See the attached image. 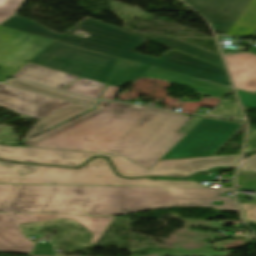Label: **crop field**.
Wrapping results in <instances>:
<instances>
[{
    "label": "crop field",
    "instance_id": "1",
    "mask_svg": "<svg viewBox=\"0 0 256 256\" xmlns=\"http://www.w3.org/2000/svg\"><path fill=\"white\" fill-rule=\"evenodd\" d=\"M232 188L0 185V211L117 215L170 206L238 210ZM218 203V204H217Z\"/></svg>",
    "mask_w": 256,
    "mask_h": 256
},
{
    "label": "crop field",
    "instance_id": "2",
    "mask_svg": "<svg viewBox=\"0 0 256 256\" xmlns=\"http://www.w3.org/2000/svg\"><path fill=\"white\" fill-rule=\"evenodd\" d=\"M111 102L101 111L30 146L120 154L152 167L186 134L191 118L174 112Z\"/></svg>",
    "mask_w": 256,
    "mask_h": 256
},
{
    "label": "crop field",
    "instance_id": "3",
    "mask_svg": "<svg viewBox=\"0 0 256 256\" xmlns=\"http://www.w3.org/2000/svg\"><path fill=\"white\" fill-rule=\"evenodd\" d=\"M1 27L52 39L58 42L102 52L115 57H121L157 68L193 76L217 84L231 87L224 69L188 56L173 49L160 58H152L133 52L148 40L134 36L90 17H86L67 33L58 34L32 20L14 15ZM88 34L83 38L71 35L76 30Z\"/></svg>",
    "mask_w": 256,
    "mask_h": 256
},
{
    "label": "crop field",
    "instance_id": "4",
    "mask_svg": "<svg viewBox=\"0 0 256 256\" xmlns=\"http://www.w3.org/2000/svg\"><path fill=\"white\" fill-rule=\"evenodd\" d=\"M93 155L108 157L114 164L118 174L124 177L141 176H179L185 177L197 171H206L215 167L235 168L240 155L204 157L180 160L159 161L149 170L119 155L98 153L71 152L1 146L0 158L41 164L66 165L77 167Z\"/></svg>",
    "mask_w": 256,
    "mask_h": 256
},
{
    "label": "crop field",
    "instance_id": "5",
    "mask_svg": "<svg viewBox=\"0 0 256 256\" xmlns=\"http://www.w3.org/2000/svg\"><path fill=\"white\" fill-rule=\"evenodd\" d=\"M0 183L201 186L197 182L124 179L113 172L105 158H95L80 169L15 164L0 160Z\"/></svg>",
    "mask_w": 256,
    "mask_h": 256
},
{
    "label": "crop field",
    "instance_id": "6",
    "mask_svg": "<svg viewBox=\"0 0 256 256\" xmlns=\"http://www.w3.org/2000/svg\"><path fill=\"white\" fill-rule=\"evenodd\" d=\"M117 59L98 52L52 42L29 63L107 83Z\"/></svg>",
    "mask_w": 256,
    "mask_h": 256
},
{
    "label": "crop field",
    "instance_id": "7",
    "mask_svg": "<svg viewBox=\"0 0 256 256\" xmlns=\"http://www.w3.org/2000/svg\"><path fill=\"white\" fill-rule=\"evenodd\" d=\"M243 126L242 124L203 118L160 160L212 156Z\"/></svg>",
    "mask_w": 256,
    "mask_h": 256
},
{
    "label": "crop field",
    "instance_id": "8",
    "mask_svg": "<svg viewBox=\"0 0 256 256\" xmlns=\"http://www.w3.org/2000/svg\"><path fill=\"white\" fill-rule=\"evenodd\" d=\"M51 41L0 28V82L12 76Z\"/></svg>",
    "mask_w": 256,
    "mask_h": 256
},
{
    "label": "crop field",
    "instance_id": "9",
    "mask_svg": "<svg viewBox=\"0 0 256 256\" xmlns=\"http://www.w3.org/2000/svg\"><path fill=\"white\" fill-rule=\"evenodd\" d=\"M71 104L73 102L6 84L0 85V106L34 118L41 119Z\"/></svg>",
    "mask_w": 256,
    "mask_h": 256
},
{
    "label": "crop field",
    "instance_id": "10",
    "mask_svg": "<svg viewBox=\"0 0 256 256\" xmlns=\"http://www.w3.org/2000/svg\"><path fill=\"white\" fill-rule=\"evenodd\" d=\"M204 16L218 34L226 35L250 0H184Z\"/></svg>",
    "mask_w": 256,
    "mask_h": 256
},
{
    "label": "crop field",
    "instance_id": "11",
    "mask_svg": "<svg viewBox=\"0 0 256 256\" xmlns=\"http://www.w3.org/2000/svg\"><path fill=\"white\" fill-rule=\"evenodd\" d=\"M40 221V214L0 213V251L30 253L34 243L21 236L17 226Z\"/></svg>",
    "mask_w": 256,
    "mask_h": 256
},
{
    "label": "crop field",
    "instance_id": "12",
    "mask_svg": "<svg viewBox=\"0 0 256 256\" xmlns=\"http://www.w3.org/2000/svg\"><path fill=\"white\" fill-rule=\"evenodd\" d=\"M142 77L162 79L179 85H184L199 92L200 94L209 95L217 99H222L232 90L229 87L156 68H151Z\"/></svg>",
    "mask_w": 256,
    "mask_h": 256
},
{
    "label": "crop field",
    "instance_id": "13",
    "mask_svg": "<svg viewBox=\"0 0 256 256\" xmlns=\"http://www.w3.org/2000/svg\"><path fill=\"white\" fill-rule=\"evenodd\" d=\"M235 86L256 91V55L251 53L224 55Z\"/></svg>",
    "mask_w": 256,
    "mask_h": 256
},
{
    "label": "crop field",
    "instance_id": "14",
    "mask_svg": "<svg viewBox=\"0 0 256 256\" xmlns=\"http://www.w3.org/2000/svg\"><path fill=\"white\" fill-rule=\"evenodd\" d=\"M13 77L62 90L78 77L27 63Z\"/></svg>",
    "mask_w": 256,
    "mask_h": 256
},
{
    "label": "crop field",
    "instance_id": "15",
    "mask_svg": "<svg viewBox=\"0 0 256 256\" xmlns=\"http://www.w3.org/2000/svg\"><path fill=\"white\" fill-rule=\"evenodd\" d=\"M93 107L75 103L65 109H62L52 115H49L35 123L22 140L34 137L60 123H63Z\"/></svg>",
    "mask_w": 256,
    "mask_h": 256
},
{
    "label": "crop field",
    "instance_id": "16",
    "mask_svg": "<svg viewBox=\"0 0 256 256\" xmlns=\"http://www.w3.org/2000/svg\"><path fill=\"white\" fill-rule=\"evenodd\" d=\"M151 41H155L162 45L168 46L175 50L181 51L188 55L194 56L196 58H199L201 60L207 61L209 63H212L214 65L224 68L221 58L218 54L208 51L206 49L200 48L198 46L189 44L187 42H184L178 39L167 38V37H157L152 39Z\"/></svg>",
    "mask_w": 256,
    "mask_h": 256
},
{
    "label": "crop field",
    "instance_id": "17",
    "mask_svg": "<svg viewBox=\"0 0 256 256\" xmlns=\"http://www.w3.org/2000/svg\"><path fill=\"white\" fill-rule=\"evenodd\" d=\"M150 68V66H144L136 62L120 59L109 84L120 87L128 82L134 81L146 73Z\"/></svg>",
    "mask_w": 256,
    "mask_h": 256
},
{
    "label": "crop field",
    "instance_id": "18",
    "mask_svg": "<svg viewBox=\"0 0 256 256\" xmlns=\"http://www.w3.org/2000/svg\"><path fill=\"white\" fill-rule=\"evenodd\" d=\"M50 219L65 218L75 219L87 230L94 234L90 243H96L115 217H91V216H71V215H48Z\"/></svg>",
    "mask_w": 256,
    "mask_h": 256
},
{
    "label": "crop field",
    "instance_id": "19",
    "mask_svg": "<svg viewBox=\"0 0 256 256\" xmlns=\"http://www.w3.org/2000/svg\"><path fill=\"white\" fill-rule=\"evenodd\" d=\"M6 84L14 85V86H17V87L32 90V91L39 92V93L46 94V95H50V96H53V97H57V98H61V99H65V100H69V101H73V102L86 104V105L93 106V107H96L97 102H98V101H94V100L88 99V98H82V97H78V96H74V95H70V94H66V93H62V92H58V91H54V90H49V89L39 87V86L30 84V83H27V82L20 81V80H12V81H10Z\"/></svg>",
    "mask_w": 256,
    "mask_h": 256
},
{
    "label": "crop field",
    "instance_id": "20",
    "mask_svg": "<svg viewBox=\"0 0 256 256\" xmlns=\"http://www.w3.org/2000/svg\"><path fill=\"white\" fill-rule=\"evenodd\" d=\"M105 85L104 83L82 78L65 89V91L99 99Z\"/></svg>",
    "mask_w": 256,
    "mask_h": 256
},
{
    "label": "crop field",
    "instance_id": "21",
    "mask_svg": "<svg viewBox=\"0 0 256 256\" xmlns=\"http://www.w3.org/2000/svg\"><path fill=\"white\" fill-rule=\"evenodd\" d=\"M24 0H0V24L13 16Z\"/></svg>",
    "mask_w": 256,
    "mask_h": 256
},
{
    "label": "crop field",
    "instance_id": "22",
    "mask_svg": "<svg viewBox=\"0 0 256 256\" xmlns=\"http://www.w3.org/2000/svg\"><path fill=\"white\" fill-rule=\"evenodd\" d=\"M98 110H99V109H95V110H93V111H91V112H89V113H87V114H85V115H83V116H81V117H78V118H76V119H74V120H71V121H69V122H67V123H65V124H63V125H61V126L55 128V129H52V130H50V131H47V132H45V133H43V134H41V135H39V136H37V137H35V138H32V139H30V140H28V141H26V142H24V143H22V144H24V145L27 146V145H29V144H31V143H33V142L39 140V139H42V138H44V137H46V136H49V135H51V134H53V133L59 131L60 129H62V128L66 127V126H68V125H70V124H72V123H74V122H76V121H78V120H80V119H82V118H84V117H86V116H88V115H90V114H92V113L98 111Z\"/></svg>",
    "mask_w": 256,
    "mask_h": 256
},
{
    "label": "crop field",
    "instance_id": "23",
    "mask_svg": "<svg viewBox=\"0 0 256 256\" xmlns=\"http://www.w3.org/2000/svg\"><path fill=\"white\" fill-rule=\"evenodd\" d=\"M241 103L245 107L256 108V95L237 90Z\"/></svg>",
    "mask_w": 256,
    "mask_h": 256
},
{
    "label": "crop field",
    "instance_id": "24",
    "mask_svg": "<svg viewBox=\"0 0 256 256\" xmlns=\"http://www.w3.org/2000/svg\"><path fill=\"white\" fill-rule=\"evenodd\" d=\"M244 214L245 221H256V204L239 203Z\"/></svg>",
    "mask_w": 256,
    "mask_h": 256
},
{
    "label": "crop field",
    "instance_id": "25",
    "mask_svg": "<svg viewBox=\"0 0 256 256\" xmlns=\"http://www.w3.org/2000/svg\"><path fill=\"white\" fill-rule=\"evenodd\" d=\"M32 254L54 255L51 244H37Z\"/></svg>",
    "mask_w": 256,
    "mask_h": 256
},
{
    "label": "crop field",
    "instance_id": "26",
    "mask_svg": "<svg viewBox=\"0 0 256 256\" xmlns=\"http://www.w3.org/2000/svg\"><path fill=\"white\" fill-rule=\"evenodd\" d=\"M238 185L241 187H256V178L238 176Z\"/></svg>",
    "mask_w": 256,
    "mask_h": 256
},
{
    "label": "crop field",
    "instance_id": "27",
    "mask_svg": "<svg viewBox=\"0 0 256 256\" xmlns=\"http://www.w3.org/2000/svg\"><path fill=\"white\" fill-rule=\"evenodd\" d=\"M118 89L119 88H117V87L108 85L103 96H102V99L113 100L118 93Z\"/></svg>",
    "mask_w": 256,
    "mask_h": 256
},
{
    "label": "crop field",
    "instance_id": "28",
    "mask_svg": "<svg viewBox=\"0 0 256 256\" xmlns=\"http://www.w3.org/2000/svg\"><path fill=\"white\" fill-rule=\"evenodd\" d=\"M240 171H247V172L254 171V172H256V157H254L251 160L243 163V165L241 166Z\"/></svg>",
    "mask_w": 256,
    "mask_h": 256
},
{
    "label": "crop field",
    "instance_id": "29",
    "mask_svg": "<svg viewBox=\"0 0 256 256\" xmlns=\"http://www.w3.org/2000/svg\"><path fill=\"white\" fill-rule=\"evenodd\" d=\"M110 102H106V101H100V104L98 106L99 109L104 108L107 104H109Z\"/></svg>",
    "mask_w": 256,
    "mask_h": 256
},
{
    "label": "crop field",
    "instance_id": "30",
    "mask_svg": "<svg viewBox=\"0 0 256 256\" xmlns=\"http://www.w3.org/2000/svg\"><path fill=\"white\" fill-rule=\"evenodd\" d=\"M41 216H42L43 220H45V219H49L47 215H43V214H41Z\"/></svg>",
    "mask_w": 256,
    "mask_h": 256
},
{
    "label": "crop field",
    "instance_id": "31",
    "mask_svg": "<svg viewBox=\"0 0 256 256\" xmlns=\"http://www.w3.org/2000/svg\"><path fill=\"white\" fill-rule=\"evenodd\" d=\"M256 94V93H255Z\"/></svg>",
    "mask_w": 256,
    "mask_h": 256
}]
</instances>
